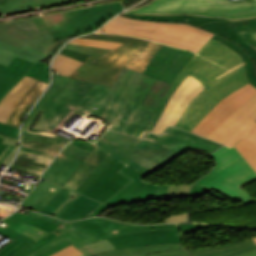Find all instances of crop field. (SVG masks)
Here are the masks:
<instances>
[{
	"label": "crop field",
	"instance_id": "crop-field-41",
	"mask_svg": "<svg viewBox=\"0 0 256 256\" xmlns=\"http://www.w3.org/2000/svg\"><path fill=\"white\" fill-rule=\"evenodd\" d=\"M80 254H82V253L71 245V246L53 254L52 256H78Z\"/></svg>",
	"mask_w": 256,
	"mask_h": 256
},
{
	"label": "crop field",
	"instance_id": "crop-field-49",
	"mask_svg": "<svg viewBox=\"0 0 256 256\" xmlns=\"http://www.w3.org/2000/svg\"><path fill=\"white\" fill-rule=\"evenodd\" d=\"M109 206L103 205L101 204L100 206H98L95 210H93L91 213H89L86 217H92L95 216L97 213L103 211L104 209L108 208ZM84 217V218H86Z\"/></svg>",
	"mask_w": 256,
	"mask_h": 256
},
{
	"label": "crop field",
	"instance_id": "crop-field-32",
	"mask_svg": "<svg viewBox=\"0 0 256 256\" xmlns=\"http://www.w3.org/2000/svg\"><path fill=\"white\" fill-rule=\"evenodd\" d=\"M191 186H160L153 199L189 197Z\"/></svg>",
	"mask_w": 256,
	"mask_h": 256
},
{
	"label": "crop field",
	"instance_id": "crop-field-25",
	"mask_svg": "<svg viewBox=\"0 0 256 256\" xmlns=\"http://www.w3.org/2000/svg\"><path fill=\"white\" fill-rule=\"evenodd\" d=\"M104 150L96 146L90 155L86 158L77 172L72 176V178L64 185L69 189L74 190L78 187L95 169V167L102 161V159L107 155ZM76 190V189H75Z\"/></svg>",
	"mask_w": 256,
	"mask_h": 256
},
{
	"label": "crop field",
	"instance_id": "crop-field-53",
	"mask_svg": "<svg viewBox=\"0 0 256 256\" xmlns=\"http://www.w3.org/2000/svg\"><path fill=\"white\" fill-rule=\"evenodd\" d=\"M253 238V240L256 242V236H254V237H252Z\"/></svg>",
	"mask_w": 256,
	"mask_h": 256
},
{
	"label": "crop field",
	"instance_id": "crop-field-55",
	"mask_svg": "<svg viewBox=\"0 0 256 256\" xmlns=\"http://www.w3.org/2000/svg\"><path fill=\"white\" fill-rule=\"evenodd\" d=\"M90 256H94V255H90Z\"/></svg>",
	"mask_w": 256,
	"mask_h": 256
},
{
	"label": "crop field",
	"instance_id": "crop-field-52",
	"mask_svg": "<svg viewBox=\"0 0 256 256\" xmlns=\"http://www.w3.org/2000/svg\"><path fill=\"white\" fill-rule=\"evenodd\" d=\"M11 146L10 145H8V147L6 148V150L2 153V155L0 156V159H1V157L7 152V150L10 148Z\"/></svg>",
	"mask_w": 256,
	"mask_h": 256
},
{
	"label": "crop field",
	"instance_id": "crop-field-47",
	"mask_svg": "<svg viewBox=\"0 0 256 256\" xmlns=\"http://www.w3.org/2000/svg\"><path fill=\"white\" fill-rule=\"evenodd\" d=\"M69 245H70V243H68V242L66 241V242L60 244L59 246H57V247L51 249L50 251L44 253V254L41 255V256H50V255H52L53 253H55V252H57V251H59V250L65 248V247H67V246H69Z\"/></svg>",
	"mask_w": 256,
	"mask_h": 256
},
{
	"label": "crop field",
	"instance_id": "crop-field-26",
	"mask_svg": "<svg viewBox=\"0 0 256 256\" xmlns=\"http://www.w3.org/2000/svg\"><path fill=\"white\" fill-rule=\"evenodd\" d=\"M67 141L41 136L22 135V148L56 156Z\"/></svg>",
	"mask_w": 256,
	"mask_h": 256
},
{
	"label": "crop field",
	"instance_id": "crop-field-27",
	"mask_svg": "<svg viewBox=\"0 0 256 256\" xmlns=\"http://www.w3.org/2000/svg\"><path fill=\"white\" fill-rule=\"evenodd\" d=\"M98 205H100V203L80 195L63 212H61L57 218L67 221L78 220L86 216Z\"/></svg>",
	"mask_w": 256,
	"mask_h": 256
},
{
	"label": "crop field",
	"instance_id": "crop-field-43",
	"mask_svg": "<svg viewBox=\"0 0 256 256\" xmlns=\"http://www.w3.org/2000/svg\"><path fill=\"white\" fill-rule=\"evenodd\" d=\"M60 53L66 55V56L72 57L74 59L80 60L82 62H84L89 57L86 54L70 51L67 49H62V51Z\"/></svg>",
	"mask_w": 256,
	"mask_h": 256
},
{
	"label": "crop field",
	"instance_id": "crop-field-39",
	"mask_svg": "<svg viewBox=\"0 0 256 256\" xmlns=\"http://www.w3.org/2000/svg\"><path fill=\"white\" fill-rule=\"evenodd\" d=\"M1 137L5 138L3 143L5 144H11V145H16L14 149L11 151V153L7 156V158L4 160L3 164L9 165L11 162L12 158L14 157L17 148H18V139L16 138H10V137H5L4 135H0Z\"/></svg>",
	"mask_w": 256,
	"mask_h": 256
},
{
	"label": "crop field",
	"instance_id": "crop-field-18",
	"mask_svg": "<svg viewBox=\"0 0 256 256\" xmlns=\"http://www.w3.org/2000/svg\"><path fill=\"white\" fill-rule=\"evenodd\" d=\"M54 156L21 149L11 168L30 173L39 177L41 172L53 160ZM43 173V172H42Z\"/></svg>",
	"mask_w": 256,
	"mask_h": 256
},
{
	"label": "crop field",
	"instance_id": "crop-field-8",
	"mask_svg": "<svg viewBox=\"0 0 256 256\" xmlns=\"http://www.w3.org/2000/svg\"><path fill=\"white\" fill-rule=\"evenodd\" d=\"M102 31L151 39L195 53L214 35L195 25L134 20L121 14L106 24L98 33Z\"/></svg>",
	"mask_w": 256,
	"mask_h": 256
},
{
	"label": "crop field",
	"instance_id": "crop-field-33",
	"mask_svg": "<svg viewBox=\"0 0 256 256\" xmlns=\"http://www.w3.org/2000/svg\"><path fill=\"white\" fill-rule=\"evenodd\" d=\"M234 147L256 171V144L241 139Z\"/></svg>",
	"mask_w": 256,
	"mask_h": 256
},
{
	"label": "crop field",
	"instance_id": "crop-field-2",
	"mask_svg": "<svg viewBox=\"0 0 256 256\" xmlns=\"http://www.w3.org/2000/svg\"><path fill=\"white\" fill-rule=\"evenodd\" d=\"M189 52L163 45L143 74L123 68L98 117L109 130L145 137L176 90L170 83L193 56Z\"/></svg>",
	"mask_w": 256,
	"mask_h": 256
},
{
	"label": "crop field",
	"instance_id": "crop-field-42",
	"mask_svg": "<svg viewBox=\"0 0 256 256\" xmlns=\"http://www.w3.org/2000/svg\"><path fill=\"white\" fill-rule=\"evenodd\" d=\"M188 214H189V212L175 214V215H169V216H167L165 223L186 222L187 218H188Z\"/></svg>",
	"mask_w": 256,
	"mask_h": 256
},
{
	"label": "crop field",
	"instance_id": "crop-field-12",
	"mask_svg": "<svg viewBox=\"0 0 256 256\" xmlns=\"http://www.w3.org/2000/svg\"><path fill=\"white\" fill-rule=\"evenodd\" d=\"M180 243L178 230L141 232L107 238L97 243L78 248L86 255L107 250L128 248L140 245Z\"/></svg>",
	"mask_w": 256,
	"mask_h": 256
},
{
	"label": "crop field",
	"instance_id": "crop-field-14",
	"mask_svg": "<svg viewBox=\"0 0 256 256\" xmlns=\"http://www.w3.org/2000/svg\"><path fill=\"white\" fill-rule=\"evenodd\" d=\"M256 93V88L250 83L234 91L211 110V112L198 124L192 133L206 137L219 126L232 113L238 110Z\"/></svg>",
	"mask_w": 256,
	"mask_h": 256
},
{
	"label": "crop field",
	"instance_id": "crop-field-44",
	"mask_svg": "<svg viewBox=\"0 0 256 256\" xmlns=\"http://www.w3.org/2000/svg\"><path fill=\"white\" fill-rule=\"evenodd\" d=\"M208 190H210V189L206 188V187L194 185L191 190V197L202 196V195L206 194V192Z\"/></svg>",
	"mask_w": 256,
	"mask_h": 256
},
{
	"label": "crop field",
	"instance_id": "crop-field-30",
	"mask_svg": "<svg viewBox=\"0 0 256 256\" xmlns=\"http://www.w3.org/2000/svg\"><path fill=\"white\" fill-rule=\"evenodd\" d=\"M179 248H181L180 244L141 246V247H135V248H129V249L107 251V252H103L95 255L106 256V255H112V254L139 252V251H145V253H150V252H159V251H170V250H175Z\"/></svg>",
	"mask_w": 256,
	"mask_h": 256
},
{
	"label": "crop field",
	"instance_id": "crop-field-40",
	"mask_svg": "<svg viewBox=\"0 0 256 256\" xmlns=\"http://www.w3.org/2000/svg\"><path fill=\"white\" fill-rule=\"evenodd\" d=\"M0 133L10 137H19V129L11 126L3 125L0 123Z\"/></svg>",
	"mask_w": 256,
	"mask_h": 256
},
{
	"label": "crop field",
	"instance_id": "crop-field-50",
	"mask_svg": "<svg viewBox=\"0 0 256 256\" xmlns=\"http://www.w3.org/2000/svg\"><path fill=\"white\" fill-rule=\"evenodd\" d=\"M2 141H3V138L0 137V155L5 150V148L7 147V145L1 144Z\"/></svg>",
	"mask_w": 256,
	"mask_h": 256
},
{
	"label": "crop field",
	"instance_id": "crop-field-38",
	"mask_svg": "<svg viewBox=\"0 0 256 256\" xmlns=\"http://www.w3.org/2000/svg\"><path fill=\"white\" fill-rule=\"evenodd\" d=\"M181 234L194 233L197 229H209L210 225L205 224H178Z\"/></svg>",
	"mask_w": 256,
	"mask_h": 256
},
{
	"label": "crop field",
	"instance_id": "crop-field-24",
	"mask_svg": "<svg viewBox=\"0 0 256 256\" xmlns=\"http://www.w3.org/2000/svg\"><path fill=\"white\" fill-rule=\"evenodd\" d=\"M47 86L48 83L38 80L15 107L7 123L19 127L23 117Z\"/></svg>",
	"mask_w": 256,
	"mask_h": 256
},
{
	"label": "crop field",
	"instance_id": "crop-field-6",
	"mask_svg": "<svg viewBox=\"0 0 256 256\" xmlns=\"http://www.w3.org/2000/svg\"><path fill=\"white\" fill-rule=\"evenodd\" d=\"M80 38L121 42L122 46L96 59L89 57L70 76L111 87L123 67L143 73L162 44L138 38L93 34Z\"/></svg>",
	"mask_w": 256,
	"mask_h": 256
},
{
	"label": "crop field",
	"instance_id": "crop-field-17",
	"mask_svg": "<svg viewBox=\"0 0 256 256\" xmlns=\"http://www.w3.org/2000/svg\"><path fill=\"white\" fill-rule=\"evenodd\" d=\"M216 104L217 101L205 89L192 100L178 120L176 127L191 132Z\"/></svg>",
	"mask_w": 256,
	"mask_h": 256
},
{
	"label": "crop field",
	"instance_id": "crop-field-54",
	"mask_svg": "<svg viewBox=\"0 0 256 256\" xmlns=\"http://www.w3.org/2000/svg\"><path fill=\"white\" fill-rule=\"evenodd\" d=\"M81 256H86V255L83 254V255H81Z\"/></svg>",
	"mask_w": 256,
	"mask_h": 256
},
{
	"label": "crop field",
	"instance_id": "crop-field-4",
	"mask_svg": "<svg viewBox=\"0 0 256 256\" xmlns=\"http://www.w3.org/2000/svg\"><path fill=\"white\" fill-rule=\"evenodd\" d=\"M109 91L110 88L52 74V85L28 115L22 134L64 139L55 134L60 125L75 111L97 116Z\"/></svg>",
	"mask_w": 256,
	"mask_h": 256
},
{
	"label": "crop field",
	"instance_id": "crop-field-7",
	"mask_svg": "<svg viewBox=\"0 0 256 256\" xmlns=\"http://www.w3.org/2000/svg\"><path fill=\"white\" fill-rule=\"evenodd\" d=\"M126 13L149 17H218L237 21L256 18V0H152Z\"/></svg>",
	"mask_w": 256,
	"mask_h": 256
},
{
	"label": "crop field",
	"instance_id": "crop-field-22",
	"mask_svg": "<svg viewBox=\"0 0 256 256\" xmlns=\"http://www.w3.org/2000/svg\"><path fill=\"white\" fill-rule=\"evenodd\" d=\"M118 172L122 173L133 181L105 202V204L109 206L130 202V200L146 185L139 180L137 176L139 173H137L128 165Z\"/></svg>",
	"mask_w": 256,
	"mask_h": 256
},
{
	"label": "crop field",
	"instance_id": "crop-field-11",
	"mask_svg": "<svg viewBox=\"0 0 256 256\" xmlns=\"http://www.w3.org/2000/svg\"><path fill=\"white\" fill-rule=\"evenodd\" d=\"M123 11L119 2L69 11L37 27L41 36L51 34L57 39L92 32L114 14Z\"/></svg>",
	"mask_w": 256,
	"mask_h": 256
},
{
	"label": "crop field",
	"instance_id": "crop-field-19",
	"mask_svg": "<svg viewBox=\"0 0 256 256\" xmlns=\"http://www.w3.org/2000/svg\"><path fill=\"white\" fill-rule=\"evenodd\" d=\"M32 65L33 63L16 57L9 67L0 64V100L24 77L23 74Z\"/></svg>",
	"mask_w": 256,
	"mask_h": 256
},
{
	"label": "crop field",
	"instance_id": "crop-field-1",
	"mask_svg": "<svg viewBox=\"0 0 256 256\" xmlns=\"http://www.w3.org/2000/svg\"><path fill=\"white\" fill-rule=\"evenodd\" d=\"M96 144L109 154L75 191L102 203L132 181L117 172L127 164L139 172L140 180L147 184L131 202L148 201L153 198L159 186L143 178L163 168L188 149L199 148L210 154L221 146L208 139L172 127H168L161 137L148 134L145 139L106 131L95 144L81 141L70 142L40 179H47L63 186Z\"/></svg>",
	"mask_w": 256,
	"mask_h": 256
},
{
	"label": "crop field",
	"instance_id": "crop-field-23",
	"mask_svg": "<svg viewBox=\"0 0 256 256\" xmlns=\"http://www.w3.org/2000/svg\"><path fill=\"white\" fill-rule=\"evenodd\" d=\"M60 189L41 180L21 205L39 212Z\"/></svg>",
	"mask_w": 256,
	"mask_h": 256
},
{
	"label": "crop field",
	"instance_id": "crop-field-29",
	"mask_svg": "<svg viewBox=\"0 0 256 256\" xmlns=\"http://www.w3.org/2000/svg\"><path fill=\"white\" fill-rule=\"evenodd\" d=\"M63 1L67 0H0V14L8 11L55 4Z\"/></svg>",
	"mask_w": 256,
	"mask_h": 256
},
{
	"label": "crop field",
	"instance_id": "crop-field-5",
	"mask_svg": "<svg viewBox=\"0 0 256 256\" xmlns=\"http://www.w3.org/2000/svg\"><path fill=\"white\" fill-rule=\"evenodd\" d=\"M188 74L201 81L218 101L248 83L241 56L213 39L191 58L172 84L179 86Z\"/></svg>",
	"mask_w": 256,
	"mask_h": 256
},
{
	"label": "crop field",
	"instance_id": "crop-field-28",
	"mask_svg": "<svg viewBox=\"0 0 256 256\" xmlns=\"http://www.w3.org/2000/svg\"><path fill=\"white\" fill-rule=\"evenodd\" d=\"M255 246L256 244L254 243L253 240H247L219 247L200 248L187 251L191 253L193 256H226Z\"/></svg>",
	"mask_w": 256,
	"mask_h": 256
},
{
	"label": "crop field",
	"instance_id": "crop-field-34",
	"mask_svg": "<svg viewBox=\"0 0 256 256\" xmlns=\"http://www.w3.org/2000/svg\"><path fill=\"white\" fill-rule=\"evenodd\" d=\"M25 75L49 83V65L38 61L25 73Z\"/></svg>",
	"mask_w": 256,
	"mask_h": 256
},
{
	"label": "crop field",
	"instance_id": "crop-field-16",
	"mask_svg": "<svg viewBox=\"0 0 256 256\" xmlns=\"http://www.w3.org/2000/svg\"><path fill=\"white\" fill-rule=\"evenodd\" d=\"M0 41L23 48L26 44L45 51L55 41L51 35L41 37L32 19L0 25Z\"/></svg>",
	"mask_w": 256,
	"mask_h": 256
},
{
	"label": "crop field",
	"instance_id": "crop-field-9",
	"mask_svg": "<svg viewBox=\"0 0 256 256\" xmlns=\"http://www.w3.org/2000/svg\"><path fill=\"white\" fill-rule=\"evenodd\" d=\"M123 14L134 19L191 23L216 33L214 39L234 49L242 56L248 81L256 87V19L230 22L217 18H149Z\"/></svg>",
	"mask_w": 256,
	"mask_h": 256
},
{
	"label": "crop field",
	"instance_id": "crop-field-3",
	"mask_svg": "<svg viewBox=\"0 0 256 256\" xmlns=\"http://www.w3.org/2000/svg\"><path fill=\"white\" fill-rule=\"evenodd\" d=\"M29 215L17 212L1 221L8 225L0 227V233L14 241L0 256H39L66 240L78 248L126 233L178 229L175 224L141 226L106 218L63 222L40 213Z\"/></svg>",
	"mask_w": 256,
	"mask_h": 256
},
{
	"label": "crop field",
	"instance_id": "crop-field-20",
	"mask_svg": "<svg viewBox=\"0 0 256 256\" xmlns=\"http://www.w3.org/2000/svg\"><path fill=\"white\" fill-rule=\"evenodd\" d=\"M36 81V79L25 76L9 93L4 96L0 101V119H2L0 122H7L14 107Z\"/></svg>",
	"mask_w": 256,
	"mask_h": 256
},
{
	"label": "crop field",
	"instance_id": "crop-field-46",
	"mask_svg": "<svg viewBox=\"0 0 256 256\" xmlns=\"http://www.w3.org/2000/svg\"><path fill=\"white\" fill-rule=\"evenodd\" d=\"M229 256H256V248L241 251V252L229 255Z\"/></svg>",
	"mask_w": 256,
	"mask_h": 256
},
{
	"label": "crop field",
	"instance_id": "crop-field-15",
	"mask_svg": "<svg viewBox=\"0 0 256 256\" xmlns=\"http://www.w3.org/2000/svg\"><path fill=\"white\" fill-rule=\"evenodd\" d=\"M204 88L201 82L188 75L171 96L152 133L161 135L168 125L175 126L191 100Z\"/></svg>",
	"mask_w": 256,
	"mask_h": 256
},
{
	"label": "crop field",
	"instance_id": "crop-field-10",
	"mask_svg": "<svg viewBox=\"0 0 256 256\" xmlns=\"http://www.w3.org/2000/svg\"><path fill=\"white\" fill-rule=\"evenodd\" d=\"M211 156L217 161V167L195 184L220 191L237 201H241V204L254 200L240 187L255 179L256 172L239 152L234 147L222 146Z\"/></svg>",
	"mask_w": 256,
	"mask_h": 256
},
{
	"label": "crop field",
	"instance_id": "crop-field-48",
	"mask_svg": "<svg viewBox=\"0 0 256 256\" xmlns=\"http://www.w3.org/2000/svg\"><path fill=\"white\" fill-rule=\"evenodd\" d=\"M70 38L67 39H61L60 41L54 42L53 44H51L48 49L44 52L45 54H49L55 47H57L59 44H63L64 42H66L67 40H69Z\"/></svg>",
	"mask_w": 256,
	"mask_h": 256
},
{
	"label": "crop field",
	"instance_id": "crop-field-51",
	"mask_svg": "<svg viewBox=\"0 0 256 256\" xmlns=\"http://www.w3.org/2000/svg\"><path fill=\"white\" fill-rule=\"evenodd\" d=\"M14 146H12L9 151L2 157V159L0 160V164L3 162V160L6 158V156L10 153V151L13 149Z\"/></svg>",
	"mask_w": 256,
	"mask_h": 256
},
{
	"label": "crop field",
	"instance_id": "crop-field-45",
	"mask_svg": "<svg viewBox=\"0 0 256 256\" xmlns=\"http://www.w3.org/2000/svg\"><path fill=\"white\" fill-rule=\"evenodd\" d=\"M242 138L245 140L251 141L253 143H256V122L251 127V129L248 131V133Z\"/></svg>",
	"mask_w": 256,
	"mask_h": 256
},
{
	"label": "crop field",
	"instance_id": "crop-field-13",
	"mask_svg": "<svg viewBox=\"0 0 256 256\" xmlns=\"http://www.w3.org/2000/svg\"><path fill=\"white\" fill-rule=\"evenodd\" d=\"M256 94V93H255ZM246 103V102H245ZM256 121V95L232 114L207 138L232 147Z\"/></svg>",
	"mask_w": 256,
	"mask_h": 256
},
{
	"label": "crop field",
	"instance_id": "crop-field-21",
	"mask_svg": "<svg viewBox=\"0 0 256 256\" xmlns=\"http://www.w3.org/2000/svg\"><path fill=\"white\" fill-rule=\"evenodd\" d=\"M59 47H61V45L55 48L47 56L27 45L23 49H21V48L0 42V63L9 66L14 56L29 60L35 63L38 60L41 61L51 55H54V53L57 51Z\"/></svg>",
	"mask_w": 256,
	"mask_h": 256
},
{
	"label": "crop field",
	"instance_id": "crop-field-31",
	"mask_svg": "<svg viewBox=\"0 0 256 256\" xmlns=\"http://www.w3.org/2000/svg\"><path fill=\"white\" fill-rule=\"evenodd\" d=\"M81 64L82 62L58 54V56L53 60L52 69L58 71L61 75L69 76Z\"/></svg>",
	"mask_w": 256,
	"mask_h": 256
},
{
	"label": "crop field",
	"instance_id": "crop-field-36",
	"mask_svg": "<svg viewBox=\"0 0 256 256\" xmlns=\"http://www.w3.org/2000/svg\"><path fill=\"white\" fill-rule=\"evenodd\" d=\"M64 48L71 49L78 52L87 53L89 55H92L96 58L100 57L101 55L107 53L110 50L107 49H100V48H94V47H87V46H79V45H73L68 43Z\"/></svg>",
	"mask_w": 256,
	"mask_h": 256
},
{
	"label": "crop field",
	"instance_id": "crop-field-37",
	"mask_svg": "<svg viewBox=\"0 0 256 256\" xmlns=\"http://www.w3.org/2000/svg\"><path fill=\"white\" fill-rule=\"evenodd\" d=\"M112 256H191V255L188 252H186L184 249H181L176 251L159 252V253H151V254H144V252H140V253L112 255Z\"/></svg>",
	"mask_w": 256,
	"mask_h": 256
},
{
	"label": "crop field",
	"instance_id": "crop-field-35",
	"mask_svg": "<svg viewBox=\"0 0 256 256\" xmlns=\"http://www.w3.org/2000/svg\"><path fill=\"white\" fill-rule=\"evenodd\" d=\"M70 43L94 46V47H100V48H107V49H113V48L121 45V43L104 42V41L89 40V39H78V38L72 40Z\"/></svg>",
	"mask_w": 256,
	"mask_h": 256
}]
</instances>
